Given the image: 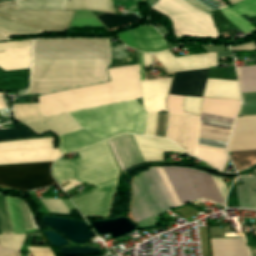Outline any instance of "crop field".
<instances>
[{
  "label": "crop field",
  "mask_w": 256,
  "mask_h": 256,
  "mask_svg": "<svg viewBox=\"0 0 256 256\" xmlns=\"http://www.w3.org/2000/svg\"><path fill=\"white\" fill-rule=\"evenodd\" d=\"M107 39H37L32 89L43 93L107 80Z\"/></svg>",
  "instance_id": "8a807250"
},
{
  "label": "crop field",
  "mask_w": 256,
  "mask_h": 256,
  "mask_svg": "<svg viewBox=\"0 0 256 256\" xmlns=\"http://www.w3.org/2000/svg\"><path fill=\"white\" fill-rule=\"evenodd\" d=\"M77 153L79 157L76 159H59L53 163L52 174L54 178L58 183L72 180L85 182L96 187L72 198V201L84 217L111 216L120 170L113 159L107 142H102ZM67 182L71 185L63 187L65 191L81 184L79 182Z\"/></svg>",
  "instance_id": "ac0d7876"
},
{
  "label": "crop field",
  "mask_w": 256,
  "mask_h": 256,
  "mask_svg": "<svg viewBox=\"0 0 256 256\" xmlns=\"http://www.w3.org/2000/svg\"><path fill=\"white\" fill-rule=\"evenodd\" d=\"M83 129L59 135L63 155L120 133L143 135L146 113L135 100L68 113Z\"/></svg>",
  "instance_id": "34b2d1b8"
},
{
  "label": "crop field",
  "mask_w": 256,
  "mask_h": 256,
  "mask_svg": "<svg viewBox=\"0 0 256 256\" xmlns=\"http://www.w3.org/2000/svg\"><path fill=\"white\" fill-rule=\"evenodd\" d=\"M111 82L39 96L44 117L141 97L137 65L110 69Z\"/></svg>",
  "instance_id": "412701ff"
},
{
  "label": "crop field",
  "mask_w": 256,
  "mask_h": 256,
  "mask_svg": "<svg viewBox=\"0 0 256 256\" xmlns=\"http://www.w3.org/2000/svg\"><path fill=\"white\" fill-rule=\"evenodd\" d=\"M148 169L132 181L131 214L137 223L183 204L165 167Z\"/></svg>",
  "instance_id": "f4fd0767"
},
{
  "label": "crop field",
  "mask_w": 256,
  "mask_h": 256,
  "mask_svg": "<svg viewBox=\"0 0 256 256\" xmlns=\"http://www.w3.org/2000/svg\"><path fill=\"white\" fill-rule=\"evenodd\" d=\"M239 102L203 98L197 143L226 148Z\"/></svg>",
  "instance_id": "dd49c442"
},
{
  "label": "crop field",
  "mask_w": 256,
  "mask_h": 256,
  "mask_svg": "<svg viewBox=\"0 0 256 256\" xmlns=\"http://www.w3.org/2000/svg\"><path fill=\"white\" fill-rule=\"evenodd\" d=\"M198 122L199 116L168 114L165 138L176 142L187 154L222 171L228 160L226 149L196 144Z\"/></svg>",
  "instance_id": "e52e79f7"
},
{
  "label": "crop field",
  "mask_w": 256,
  "mask_h": 256,
  "mask_svg": "<svg viewBox=\"0 0 256 256\" xmlns=\"http://www.w3.org/2000/svg\"><path fill=\"white\" fill-rule=\"evenodd\" d=\"M166 169L184 204L198 198L224 204L227 189L221 177L187 167L167 166Z\"/></svg>",
  "instance_id": "d8731c3e"
},
{
  "label": "crop field",
  "mask_w": 256,
  "mask_h": 256,
  "mask_svg": "<svg viewBox=\"0 0 256 256\" xmlns=\"http://www.w3.org/2000/svg\"><path fill=\"white\" fill-rule=\"evenodd\" d=\"M152 9L171 19L176 37L219 38L211 16L183 0H160Z\"/></svg>",
  "instance_id": "5a996713"
},
{
  "label": "crop field",
  "mask_w": 256,
  "mask_h": 256,
  "mask_svg": "<svg viewBox=\"0 0 256 256\" xmlns=\"http://www.w3.org/2000/svg\"><path fill=\"white\" fill-rule=\"evenodd\" d=\"M54 137L0 142V164L55 161Z\"/></svg>",
  "instance_id": "3316defc"
},
{
  "label": "crop field",
  "mask_w": 256,
  "mask_h": 256,
  "mask_svg": "<svg viewBox=\"0 0 256 256\" xmlns=\"http://www.w3.org/2000/svg\"><path fill=\"white\" fill-rule=\"evenodd\" d=\"M51 163L0 165V185L23 191L55 185L50 175Z\"/></svg>",
  "instance_id": "28ad6ade"
},
{
  "label": "crop field",
  "mask_w": 256,
  "mask_h": 256,
  "mask_svg": "<svg viewBox=\"0 0 256 256\" xmlns=\"http://www.w3.org/2000/svg\"><path fill=\"white\" fill-rule=\"evenodd\" d=\"M73 12L58 10H10L0 12V16L45 32H65Z\"/></svg>",
  "instance_id": "d1516ede"
},
{
  "label": "crop field",
  "mask_w": 256,
  "mask_h": 256,
  "mask_svg": "<svg viewBox=\"0 0 256 256\" xmlns=\"http://www.w3.org/2000/svg\"><path fill=\"white\" fill-rule=\"evenodd\" d=\"M137 61L140 69L141 81L145 80L144 67L151 65V55L147 53H137ZM172 77L149 80L141 82L142 100L146 112L166 111L165 101L168 96Z\"/></svg>",
  "instance_id": "22f410ed"
},
{
  "label": "crop field",
  "mask_w": 256,
  "mask_h": 256,
  "mask_svg": "<svg viewBox=\"0 0 256 256\" xmlns=\"http://www.w3.org/2000/svg\"><path fill=\"white\" fill-rule=\"evenodd\" d=\"M202 97L239 99L237 81L207 79ZM202 98L185 97L184 112L199 115Z\"/></svg>",
  "instance_id": "cbeb9de0"
},
{
  "label": "crop field",
  "mask_w": 256,
  "mask_h": 256,
  "mask_svg": "<svg viewBox=\"0 0 256 256\" xmlns=\"http://www.w3.org/2000/svg\"><path fill=\"white\" fill-rule=\"evenodd\" d=\"M31 41L0 43V67L4 71L29 68Z\"/></svg>",
  "instance_id": "5142ce71"
},
{
  "label": "crop field",
  "mask_w": 256,
  "mask_h": 256,
  "mask_svg": "<svg viewBox=\"0 0 256 256\" xmlns=\"http://www.w3.org/2000/svg\"><path fill=\"white\" fill-rule=\"evenodd\" d=\"M208 70L175 73L169 94L201 97Z\"/></svg>",
  "instance_id": "d9b57169"
},
{
  "label": "crop field",
  "mask_w": 256,
  "mask_h": 256,
  "mask_svg": "<svg viewBox=\"0 0 256 256\" xmlns=\"http://www.w3.org/2000/svg\"><path fill=\"white\" fill-rule=\"evenodd\" d=\"M256 149V116L237 117L228 151Z\"/></svg>",
  "instance_id": "733c2abd"
},
{
  "label": "crop field",
  "mask_w": 256,
  "mask_h": 256,
  "mask_svg": "<svg viewBox=\"0 0 256 256\" xmlns=\"http://www.w3.org/2000/svg\"><path fill=\"white\" fill-rule=\"evenodd\" d=\"M154 55L168 73L209 68L207 53L175 58L172 53L167 50L154 53Z\"/></svg>",
  "instance_id": "4a817a6b"
},
{
  "label": "crop field",
  "mask_w": 256,
  "mask_h": 256,
  "mask_svg": "<svg viewBox=\"0 0 256 256\" xmlns=\"http://www.w3.org/2000/svg\"><path fill=\"white\" fill-rule=\"evenodd\" d=\"M109 144L123 172L136 164L143 163L138 148L131 135H123L109 140Z\"/></svg>",
  "instance_id": "bc2a9ffb"
},
{
  "label": "crop field",
  "mask_w": 256,
  "mask_h": 256,
  "mask_svg": "<svg viewBox=\"0 0 256 256\" xmlns=\"http://www.w3.org/2000/svg\"><path fill=\"white\" fill-rule=\"evenodd\" d=\"M241 92H256V66L237 68ZM242 106L238 115L256 114V93L241 94Z\"/></svg>",
  "instance_id": "214f88e0"
},
{
  "label": "crop field",
  "mask_w": 256,
  "mask_h": 256,
  "mask_svg": "<svg viewBox=\"0 0 256 256\" xmlns=\"http://www.w3.org/2000/svg\"><path fill=\"white\" fill-rule=\"evenodd\" d=\"M133 137L138 145L144 162L164 161L163 152L184 153L179 147L165 139L155 137Z\"/></svg>",
  "instance_id": "92a150f3"
},
{
  "label": "crop field",
  "mask_w": 256,
  "mask_h": 256,
  "mask_svg": "<svg viewBox=\"0 0 256 256\" xmlns=\"http://www.w3.org/2000/svg\"><path fill=\"white\" fill-rule=\"evenodd\" d=\"M24 124L38 134L46 131H53L59 135L81 129V127L67 113L38 119Z\"/></svg>",
  "instance_id": "dafd665d"
},
{
  "label": "crop field",
  "mask_w": 256,
  "mask_h": 256,
  "mask_svg": "<svg viewBox=\"0 0 256 256\" xmlns=\"http://www.w3.org/2000/svg\"><path fill=\"white\" fill-rule=\"evenodd\" d=\"M130 33L139 51L156 52L167 49L163 37L149 25L130 30Z\"/></svg>",
  "instance_id": "00972430"
},
{
  "label": "crop field",
  "mask_w": 256,
  "mask_h": 256,
  "mask_svg": "<svg viewBox=\"0 0 256 256\" xmlns=\"http://www.w3.org/2000/svg\"><path fill=\"white\" fill-rule=\"evenodd\" d=\"M6 201H7V206H8V210H9V214H10V218H11V222H12V226L15 234L40 231V229L25 230L17 198L6 197ZM19 203H20L26 229L33 228L27 206L21 200H19ZM32 222H33L34 228H37L33 219H32Z\"/></svg>",
  "instance_id": "a9b5d70f"
},
{
  "label": "crop field",
  "mask_w": 256,
  "mask_h": 256,
  "mask_svg": "<svg viewBox=\"0 0 256 256\" xmlns=\"http://www.w3.org/2000/svg\"><path fill=\"white\" fill-rule=\"evenodd\" d=\"M236 8L230 10L229 7L221 12L233 22L244 34L256 30L249 22L240 17V14L246 13L248 16L256 15V0H244L234 5Z\"/></svg>",
  "instance_id": "4177f3b9"
},
{
  "label": "crop field",
  "mask_w": 256,
  "mask_h": 256,
  "mask_svg": "<svg viewBox=\"0 0 256 256\" xmlns=\"http://www.w3.org/2000/svg\"><path fill=\"white\" fill-rule=\"evenodd\" d=\"M213 256H247L242 238L212 239Z\"/></svg>",
  "instance_id": "730fd06b"
},
{
  "label": "crop field",
  "mask_w": 256,
  "mask_h": 256,
  "mask_svg": "<svg viewBox=\"0 0 256 256\" xmlns=\"http://www.w3.org/2000/svg\"><path fill=\"white\" fill-rule=\"evenodd\" d=\"M29 69L4 72L0 69V90L10 91L26 87Z\"/></svg>",
  "instance_id": "eef30255"
},
{
  "label": "crop field",
  "mask_w": 256,
  "mask_h": 256,
  "mask_svg": "<svg viewBox=\"0 0 256 256\" xmlns=\"http://www.w3.org/2000/svg\"><path fill=\"white\" fill-rule=\"evenodd\" d=\"M25 239V234L0 235V249L3 256H20V249Z\"/></svg>",
  "instance_id": "ae1a2a85"
},
{
  "label": "crop field",
  "mask_w": 256,
  "mask_h": 256,
  "mask_svg": "<svg viewBox=\"0 0 256 256\" xmlns=\"http://www.w3.org/2000/svg\"><path fill=\"white\" fill-rule=\"evenodd\" d=\"M66 9H93L114 12L112 0H70L67 3Z\"/></svg>",
  "instance_id": "d3111659"
},
{
  "label": "crop field",
  "mask_w": 256,
  "mask_h": 256,
  "mask_svg": "<svg viewBox=\"0 0 256 256\" xmlns=\"http://www.w3.org/2000/svg\"><path fill=\"white\" fill-rule=\"evenodd\" d=\"M21 9L65 10L67 0H15Z\"/></svg>",
  "instance_id": "750c4746"
},
{
  "label": "crop field",
  "mask_w": 256,
  "mask_h": 256,
  "mask_svg": "<svg viewBox=\"0 0 256 256\" xmlns=\"http://www.w3.org/2000/svg\"><path fill=\"white\" fill-rule=\"evenodd\" d=\"M13 114L22 123L43 117L38 104L13 105Z\"/></svg>",
  "instance_id": "bd1437ed"
},
{
  "label": "crop field",
  "mask_w": 256,
  "mask_h": 256,
  "mask_svg": "<svg viewBox=\"0 0 256 256\" xmlns=\"http://www.w3.org/2000/svg\"><path fill=\"white\" fill-rule=\"evenodd\" d=\"M0 31L6 36L25 34V33H38L42 32L37 29L22 25L20 23L1 18L0 17Z\"/></svg>",
  "instance_id": "1d83c4d3"
},
{
  "label": "crop field",
  "mask_w": 256,
  "mask_h": 256,
  "mask_svg": "<svg viewBox=\"0 0 256 256\" xmlns=\"http://www.w3.org/2000/svg\"><path fill=\"white\" fill-rule=\"evenodd\" d=\"M69 27H104L90 11H75Z\"/></svg>",
  "instance_id": "120bbe31"
},
{
  "label": "crop field",
  "mask_w": 256,
  "mask_h": 256,
  "mask_svg": "<svg viewBox=\"0 0 256 256\" xmlns=\"http://www.w3.org/2000/svg\"><path fill=\"white\" fill-rule=\"evenodd\" d=\"M97 18L106 26L108 30L119 27L121 25L140 20L134 14L122 16V15H113V14H103L97 16Z\"/></svg>",
  "instance_id": "d32e631a"
},
{
  "label": "crop field",
  "mask_w": 256,
  "mask_h": 256,
  "mask_svg": "<svg viewBox=\"0 0 256 256\" xmlns=\"http://www.w3.org/2000/svg\"><path fill=\"white\" fill-rule=\"evenodd\" d=\"M212 16L211 11L227 7L224 0H185Z\"/></svg>",
  "instance_id": "5866460e"
},
{
  "label": "crop field",
  "mask_w": 256,
  "mask_h": 256,
  "mask_svg": "<svg viewBox=\"0 0 256 256\" xmlns=\"http://www.w3.org/2000/svg\"><path fill=\"white\" fill-rule=\"evenodd\" d=\"M12 124L15 128L10 129H0V140L4 139H12V138H19V137H32L33 134L27 130L25 127L16 124L12 121Z\"/></svg>",
  "instance_id": "028f5c9d"
},
{
  "label": "crop field",
  "mask_w": 256,
  "mask_h": 256,
  "mask_svg": "<svg viewBox=\"0 0 256 256\" xmlns=\"http://www.w3.org/2000/svg\"><path fill=\"white\" fill-rule=\"evenodd\" d=\"M0 228L2 234H14L3 194H0Z\"/></svg>",
  "instance_id": "e1f06a70"
},
{
  "label": "crop field",
  "mask_w": 256,
  "mask_h": 256,
  "mask_svg": "<svg viewBox=\"0 0 256 256\" xmlns=\"http://www.w3.org/2000/svg\"><path fill=\"white\" fill-rule=\"evenodd\" d=\"M183 99L184 97H181V96L169 95L167 98L168 113L190 115V114L184 113L182 110Z\"/></svg>",
  "instance_id": "0bd39190"
},
{
  "label": "crop field",
  "mask_w": 256,
  "mask_h": 256,
  "mask_svg": "<svg viewBox=\"0 0 256 256\" xmlns=\"http://www.w3.org/2000/svg\"><path fill=\"white\" fill-rule=\"evenodd\" d=\"M49 212H59L69 214L67 208L59 199H41Z\"/></svg>",
  "instance_id": "b80d0937"
},
{
  "label": "crop field",
  "mask_w": 256,
  "mask_h": 256,
  "mask_svg": "<svg viewBox=\"0 0 256 256\" xmlns=\"http://www.w3.org/2000/svg\"><path fill=\"white\" fill-rule=\"evenodd\" d=\"M157 113H148L144 135L154 136Z\"/></svg>",
  "instance_id": "c035e120"
},
{
  "label": "crop field",
  "mask_w": 256,
  "mask_h": 256,
  "mask_svg": "<svg viewBox=\"0 0 256 256\" xmlns=\"http://www.w3.org/2000/svg\"><path fill=\"white\" fill-rule=\"evenodd\" d=\"M32 256H53L50 248H30L27 247Z\"/></svg>",
  "instance_id": "c21b1889"
},
{
  "label": "crop field",
  "mask_w": 256,
  "mask_h": 256,
  "mask_svg": "<svg viewBox=\"0 0 256 256\" xmlns=\"http://www.w3.org/2000/svg\"><path fill=\"white\" fill-rule=\"evenodd\" d=\"M117 37H118V39L121 40L126 46L137 49L128 31L125 32V33H122V34L118 35Z\"/></svg>",
  "instance_id": "03da06ac"
},
{
  "label": "crop field",
  "mask_w": 256,
  "mask_h": 256,
  "mask_svg": "<svg viewBox=\"0 0 256 256\" xmlns=\"http://www.w3.org/2000/svg\"><path fill=\"white\" fill-rule=\"evenodd\" d=\"M8 9H16L15 3L12 0L0 3V11Z\"/></svg>",
  "instance_id": "b54c1fbb"
},
{
  "label": "crop field",
  "mask_w": 256,
  "mask_h": 256,
  "mask_svg": "<svg viewBox=\"0 0 256 256\" xmlns=\"http://www.w3.org/2000/svg\"><path fill=\"white\" fill-rule=\"evenodd\" d=\"M0 95H3L2 93H0ZM5 104L4 102L2 101L1 97H0V108H5ZM0 116H9V113H8V108H5V109H0Z\"/></svg>",
  "instance_id": "5d738f31"
},
{
  "label": "crop field",
  "mask_w": 256,
  "mask_h": 256,
  "mask_svg": "<svg viewBox=\"0 0 256 256\" xmlns=\"http://www.w3.org/2000/svg\"><path fill=\"white\" fill-rule=\"evenodd\" d=\"M239 1H242V0H229V2H230L231 5H232V4H235V3L239 2Z\"/></svg>",
  "instance_id": "d23c7cc5"
},
{
  "label": "crop field",
  "mask_w": 256,
  "mask_h": 256,
  "mask_svg": "<svg viewBox=\"0 0 256 256\" xmlns=\"http://www.w3.org/2000/svg\"><path fill=\"white\" fill-rule=\"evenodd\" d=\"M1 40H7V38H5L2 34H0V41Z\"/></svg>",
  "instance_id": "425ffa30"
},
{
  "label": "crop field",
  "mask_w": 256,
  "mask_h": 256,
  "mask_svg": "<svg viewBox=\"0 0 256 256\" xmlns=\"http://www.w3.org/2000/svg\"><path fill=\"white\" fill-rule=\"evenodd\" d=\"M0 256H2L1 253H0Z\"/></svg>",
  "instance_id": "25e5ab78"
},
{
  "label": "crop field",
  "mask_w": 256,
  "mask_h": 256,
  "mask_svg": "<svg viewBox=\"0 0 256 256\" xmlns=\"http://www.w3.org/2000/svg\"><path fill=\"white\" fill-rule=\"evenodd\" d=\"M1 234V233H0Z\"/></svg>",
  "instance_id": "73cf0c24"
},
{
  "label": "crop field",
  "mask_w": 256,
  "mask_h": 256,
  "mask_svg": "<svg viewBox=\"0 0 256 256\" xmlns=\"http://www.w3.org/2000/svg\"><path fill=\"white\" fill-rule=\"evenodd\" d=\"M143 1V0H142Z\"/></svg>",
  "instance_id": "89e229c0"
}]
</instances>
